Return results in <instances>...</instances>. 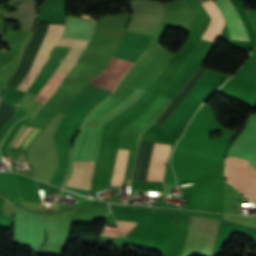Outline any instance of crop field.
Here are the masks:
<instances>
[{
    "label": "crop field",
    "mask_w": 256,
    "mask_h": 256,
    "mask_svg": "<svg viewBox=\"0 0 256 256\" xmlns=\"http://www.w3.org/2000/svg\"><path fill=\"white\" fill-rule=\"evenodd\" d=\"M165 99L166 98L160 96L159 99L157 100V102L153 106H151L149 108V110H147L140 117H142L146 120L150 115H152L162 105V103L165 101Z\"/></svg>",
    "instance_id": "28ad6ade"
},
{
    "label": "crop field",
    "mask_w": 256,
    "mask_h": 256,
    "mask_svg": "<svg viewBox=\"0 0 256 256\" xmlns=\"http://www.w3.org/2000/svg\"><path fill=\"white\" fill-rule=\"evenodd\" d=\"M215 3L225 18V23L228 28L230 38L250 40L231 2L229 0H216Z\"/></svg>",
    "instance_id": "34b2d1b8"
},
{
    "label": "crop field",
    "mask_w": 256,
    "mask_h": 256,
    "mask_svg": "<svg viewBox=\"0 0 256 256\" xmlns=\"http://www.w3.org/2000/svg\"><path fill=\"white\" fill-rule=\"evenodd\" d=\"M30 129L28 126H23L19 133L15 136L13 142L10 146L16 147L18 142L21 140V138L26 134V132ZM35 128H32L31 131L26 135V137L23 139V141L20 143L19 147L21 148L22 145L25 143V141L29 138V136L34 132ZM40 129H37L36 132L31 136V138L27 141V143L24 145L23 148L27 149L30 142L35 138V136L40 132Z\"/></svg>",
    "instance_id": "5a996713"
},
{
    "label": "crop field",
    "mask_w": 256,
    "mask_h": 256,
    "mask_svg": "<svg viewBox=\"0 0 256 256\" xmlns=\"http://www.w3.org/2000/svg\"><path fill=\"white\" fill-rule=\"evenodd\" d=\"M128 151L118 150L111 185H121Z\"/></svg>",
    "instance_id": "d8731c3e"
},
{
    "label": "crop field",
    "mask_w": 256,
    "mask_h": 256,
    "mask_svg": "<svg viewBox=\"0 0 256 256\" xmlns=\"http://www.w3.org/2000/svg\"><path fill=\"white\" fill-rule=\"evenodd\" d=\"M152 35L136 33L126 30L116 54L138 59L145 50Z\"/></svg>",
    "instance_id": "ac0d7876"
},
{
    "label": "crop field",
    "mask_w": 256,
    "mask_h": 256,
    "mask_svg": "<svg viewBox=\"0 0 256 256\" xmlns=\"http://www.w3.org/2000/svg\"><path fill=\"white\" fill-rule=\"evenodd\" d=\"M210 1H211V0H210ZM206 2H208V1H206ZM206 2H202L201 4L206 3Z\"/></svg>",
    "instance_id": "cbeb9de0"
},
{
    "label": "crop field",
    "mask_w": 256,
    "mask_h": 256,
    "mask_svg": "<svg viewBox=\"0 0 256 256\" xmlns=\"http://www.w3.org/2000/svg\"><path fill=\"white\" fill-rule=\"evenodd\" d=\"M119 225V230H118V237L119 238H125L127 232L131 229H133L135 224H131V223H121V222H117Z\"/></svg>",
    "instance_id": "d1516ede"
},
{
    "label": "crop field",
    "mask_w": 256,
    "mask_h": 256,
    "mask_svg": "<svg viewBox=\"0 0 256 256\" xmlns=\"http://www.w3.org/2000/svg\"><path fill=\"white\" fill-rule=\"evenodd\" d=\"M64 32V25L49 24L46 37L43 41V44L40 48V51L36 57V60L26 75L25 79L19 86L20 89L27 90V88L34 81L38 71L47 61L50 51L58 43L62 33ZM29 89V88H28Z\"/></svg>",
    "instance_id": "8a807250"
},
{
    "label": "crop field",
    "mask_w": 256,
    "mask_h": 256,
    "mask_svg": "<svg viewBox=\"0 0 256 256\" xmlns=\"http://www.w3.org/2000/svg\"><path fill=\"white\" fill-rule=\"evenodd\" d=\"M102 236L116 237V236H117V233H116V232H113V231H107V230H104V232H103V235H102Z\"/></svg>",
    "instance_id": "22f410ed"
},
{
    "label": "crop field",
    "mask_w": 256,
    "mask_h": 256,
    "mask_svg": "<svg viewBox=\"0 0 256 256\" xmlns=\"http://www.w3.org/2000/svg\"><path fill=\"white\" fill-rule=\"evenodd\" d=\"M171 146L155 144L154 154L147 180L162 181L164 163L167 160Z\"/></svg>",
    "instance_id": "dd49c442"
},
{
    "label": "crop field",
    "mask_w": 256,
    "mask_h": 256,
    "mask_svg": "<svg viewBox=\"0 0 256 256\" xmlns=\"http://www.w3.org/2000/svg\"><path fill=\"white\" fill-rule=\"evenodd\" d=\"M254 167L241 159L239 191L250 199ZM251 201L256 203V169L254 172Z\"/></svg>",
    "instance_id": "f4fd0767"
},
{
    "label": "crop field",
    "mask_w": 256,
    "mask_h": 256,
    "mask_svg": "<svg viewBox=\"0 0 256 256\" xmlns=\"http://www.w3.org/2000/svg\"><path fill=\"white\" fill-rule=\"evenodd\" d=\"M77 50V48H72V50L69 52V54L67 55V57L64 59V61L62 62V64L59 66V68L57 69V71L54 73V75L51 77V79L48 81V84L52 85V83L55 81V79L57 78V76L60 74V72L62 71V69L64 68V66L67 64V62L69 61V59L72 57V55L74 54V52ZM82 51L81 48H78V50L75 52V54L73 55V57L70 59V61L68 62V64L66 65V67L63 69V71L61 72V74L58 76V78L56 79V81L53 83V85L58 86L60 80L64 77V75L68 72V70L71 68V66L74 64V62L77 60L80 52Z\"/></svg>",
    "instance_id": "e52e79f7"
},
{
    "label": "crop field",
    "mask_w": 256,
    "mask_h": 256,
    "mask_svg": "<svg viewBox=\"0 0 256 256\" xmlns=\"http://www.w3.org/2000/svg\"><path fill=\"white\" fill-rule=\"evenodd\" d=\"M88 40H75V39H65L61 38L57 45L62 46H74L83 48L87 44Z\"/></svg>",
    "instance_id": "3316defc"
},
{
    "label": "crop field",
    "mask_w": 256,
    "mask_h": 256,
    "mask_svg": "<svg viewBox=\"0 0 256 256\" xmlns=\"http://www.w3.org/2000/svg\"><path fill=\"white\" fill-rule=\"evenodd\" d=\"M93 168H94L93 161L83 162V171H82V162H73L72 177L71 179H68L66 186L78 188L80 175L82 171L79 188L89 190Z\"/></svg>",
    "instance_id": "412701ff"
}]
</instances>
